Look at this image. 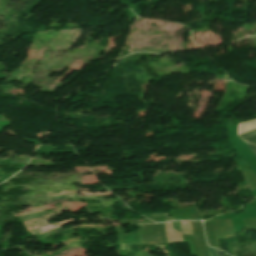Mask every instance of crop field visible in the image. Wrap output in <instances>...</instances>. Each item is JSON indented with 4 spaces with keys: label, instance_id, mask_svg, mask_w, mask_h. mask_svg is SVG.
<instances>
[{
    "label": "crop field",
    "instance_id": "1",
    "mask_svg": "<svg viewBox=\"0 0 256 256\" xmlns=\"http://www.w3.org/2000/svg\"><path fill=\"white\" fill-rule=\"evenodd\" d=\"M253 129H256V120L240 124L238 128V134H241L243 132L250 131Z\"/></svg>",
    "mask_w": 256,
    "mask_h": 256
},
{
    "label": "crop field",
    "instance_id": "4",
    "mask_svg": "<svg viewBox=\"0 0 256 256\" xmlns=\"http://www.w3.org/2000/svg\"><path fill=\"white\" fill-rule=\"evenodd\" d=\"M208 249H209L210 256H216V253H215L214 249L209 248V247H208Z\"/></svg>",
    "mask_w": 256,
    "mask_h": 256
},
{
    "label": "crop field",
    "instance_id": "5",
    "mask_svg": "<svg viewBox=\"0 0 256 256\" xmlns=\"http://www.w3.org/2000/svg\"><path fill=\"white\" fill-rule=\"evenodd\" d=\"M249 147H250V149L254 152V154L256 155V146H253V145H249V144H247Z\"/></svg>",
    "mask_w": 256,
    "mask_h": 256
},
{
    "label": "crop field",
    "instance_id": "6",
    "mask_svg": "<svg viewBox=\"0 0 256 256\" xmlns=\"http://www.w3.org/2000/svg\"><path fill=\"white\" fill-rule=\"evenodd\" d=\"M216 253H217V256H222V253L220 251L216 250Z\"/></svg>",
    "mask_w": 256,
    "mask_h": 256
},
{
    "label": "crop field",
    "instance_id": "2",
    "mask_svg": "<svg viewBox=\"0 0 256 256\" xmlns=\"http://www.w3.org/2000/svg\"><path fill=\"white\" fill-rule=\"evenodd\" d=\"M253 136H256V130L250 131V132H246V133L240 135V137H241L243 140H245V139H247V138H250V137H253Z\"/></svg>",
    "mask_w": 256,
    "mask_h": 256
},
{
    "label": "crop field",
    "instance_id": "3",
    "mask_svg": "<svg viewBox=\"0 0 256 256\" xmlns=\"http://www.w3.org/2000/svg\"><path fill=\"white\" fill-rule=\"evenodd\" d=\"M245 141L250 142V143H252V144L256 145V137H254V138H250V139L245 140Z\"/></svg>",
    "mask_w": 256,
    "mask_h": 256
}]
</instances>
